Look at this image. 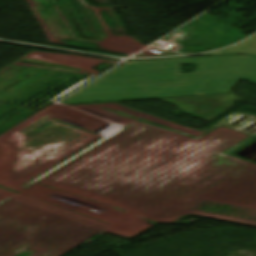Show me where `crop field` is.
<instances>
[{"instance_id":"crop-field-1","label":"crop field","mask_w":256,"mask_h":256,"mask_svg":"<svg viewBox=\"0 0 256 256\" xmlns=\"http://www.w3.org/2000/svg\"><path fill=\"white\" fill-rule=\"evenodd\" d=\"M197 64L180 73V65ZM242 78L256 82V57L232 55L127 62L70 95L69 104L228 93Z\"/></svg>"},{"instance_id":"crop-field-2","label":"crop field","mask_w":256,"mask_h":256,"mask_svg":"<svg viewBox=\"0 0 256 256\" xmlns=\"http://www.w3.org/2000/svg\"><path fill=\"white\" fill-rule=\"evenodd\" d=\"M220 54H253L256 55V36L240 45L232 48L224 49L216 53L208 55H220Z\"/></svg>"},{"instance_id":"crop-field-3","label":"crop field","mask_w":256,"mask_h":256,"mask_svg":"<svg viewBox=\"0 0 256 256\" xmlns=\"http://www.w3.org/2000/svg\"><path fill=\"white\" fill-rule=\"evenodd\" d=\"M179 53L175 52V51H170V52H160L157 51L154 48H149L146 51L142 52V54L139 56H135V57H148V56H165V55H177Z\"/></svg>"},{"instance_id":"crop-field-4","label":"crop field","mask_w":256,"mask_h":256,"mask_svg":"<svg viewBox=\"0 0 256 256\" xmlns=\"http://www.w3.org/2000/svg\"><path fill=\"white\" fill-rule=\"evenodd\" d=\"M230 95H231L232 97H234L236 100L240 101V99H239L236 95H234L233 93H230ZM178 108H179V107H178ZM180 109H181V108H180ZM182 110H183L184 112L188 113V114L193 115V116H196V117H199V118L208 120V121L212 120V119H209V118H207V117H204V116L195 114V113H193V112H190V111H187V110H184V109H182Z\"/></svg>"}]
</instances>
